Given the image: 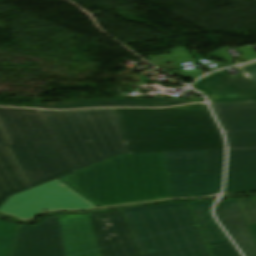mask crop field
Instances as JSON below:
<instances>
[{
	"label": "crop field",
	"mask_w": 256,
	"mask_h": 256,
	"mask_svg": "<svg viewBox=\"0 0 256 256\" xmlns=\"http://www.w3.org/2000/svg\"><path fill=\"white\" fill-rule=\"evenodd\" d=\"M58 179L98 207L172 198L164 152L119 155Z\"/></svg>",
	"instance_id": "crop-field-1"
},
{
	"label": "crop field",
	"mask_w": 256,
	"mask_h": 256,
	"mask_svg": "<svg viewBox=\"0 0 256 256\" xmlns=\"http://www.w3.org/2000/svg\"><path fill=\"white\" fill-rule=\"evenodd\" d=\"M114 110L131 153L224 149L206 104Z\"/></svg>",
	"instance_id": "crop-field-2"
},
{
	"label": "crop field",
	"mask_w": 256,
	"mask_h": 256,
	"mask_svg": "<svg viewBox=\"0 0 256 256\" xmlns=\"http://www.w3.org/2000/svg\"><path fill=\"white\" fill-rule=\"evenodd\" d=\"M40 111L73 172L130 153L113 109Z\"/></svg>",
	"instance_id": "crop-field-3"
},
{
	"label": "crop field",
	"mask_w": 256,
	"mask_h": 256,
	"mask_svg": "<svg viewBox=\"0 0 256 256\" xmlns=\"http://www.w3.org/2000/svg\"><path fill=\"white\" fill-rule=\"evenodd\" d=\"M0 123L31 188L72 173L39 110L0 108Z\"/></svg>",
	"instance_id": "crop-field-4"
},
{
	"label": "crop field",
	"mask_w": 256,
	"mask_h": 256,
	"mask_svg": "<svg viewBox=\"0 0 256 256\" xmlns=\"http://www.w3.org/2000/svg\"><path fill=\"white\" fill-rule=\"evenodd\" d=\"M140 210L164 256H210L186 203Z\"/></svg>",
	"instance_id": "crop-field-5"
},
{
	"label": "crop field",
	"mask_w": 256,
	"mask_h": 256,
	"mask_svg": "<svg viewBox=\"0 0 256 256\" xmlns=\"http://www.w3.org/2000/svg\"><path fill=\"white\" fill-rule=\"evenodd\" d=\"M95 205L55 179L33 189L9 197L0 207V212L17 218L29 219L41 210L90 209Z\"/></svg>",
	"instance_id": "crop-field-6"
},
{
	"label": "crop field",
	"mask_w": 256,
	"mask_h": 256,
	"mask_svg": "<svg viewBox=\"0 0 256 256\" xmlns=\"http://www.w3.org/2000/svg\"><path fill=\"white\" fill-rule=\"evenodd\" d=\"M165 154L173 198L219 193L222 176L205 174V151Z\"/></svg>",
	"instance_id": "crop-field-7"
},
{
	"label": "crop field",
	"mask_w": 256,
	"mask_h": 256,
	"mask_svg": "<svg viewBox=\"0 0 256 256\" xmlns=\"http://www.w3.org/2000/svg\"><path fill=\"white\" fill-rule=\"evenodd\" d=\"M229 149L256 148V102L211 103Z\"/></svg>",
	"instance_id": "crop-field-8"
},
{
	"label": "crop field",
	"mask_w": 256,
	"mask_h": 256,
	"mask_svg": "<svg viewBox=\"0 0 256 256\" xmlns=\"http://www.w3.org/2000/svg\"><path fill=\"white\" fill-rule=\"evenodd\" d=\"M13 256H66L59 216L21 226Z\"/></svg>",
	"instance_id": "crop-field-9"
},
{
	"label": "crop field",
	"mask_w": 256,
	"mask_h": 256,
	"mask_svg": "<svg viewBox=\"0 0 256 256\" xmlns=\"http://www.w3.org/2000/svg\"><path fill=\"white\" fill-rule=\"evenodd\" d=\"M92 215L103 256H142L121 210Z\"/></svg>",
	"instance_id": "crop-field-10"
},
{
	"label": "crop field",
	"mask_w": 256,
	"mask_h": 256,
	"mask_svg": "<svg viewBox=\"0 0 256 256\" xmlns=\"http://www.w3.org/2000/svg\"><path fill=\"white\" fill-rule=\"evenodd\" d=\"M192 87L207 95L210 102L256 100V85L244 75L231 78L221 71L201 79Z\"/></svg>",
	"instance_id": "crop-field-11"
},
{
	"label": "crop field",
	"mask_w": 256,
	"mask_h": 256,
	"mask_svg": "<svg viewBox=\"0 0 256 256\" xmlns=\"http://www.w3.org/2000/svg\"><path fill=\"white\" fill-rule=\"evenodd\" d=\"M60 217L67 256H102L91 214Z\"/></svg>",
	"instance_id": "crop-field-12"
},
{
	"label": "crop field",
	"mask_w": 256,
	"mask_h": 256,
	"mask_svg": "<svg viewBox=\"0 0 256 256\" xmlns=\"http://www.w3.org/2000/svg\"><path fill=\"white\" fill-rule=\"evenodd\" d=\"M216 213L245 256H256V239L237 200L219 202Z\"/></svg>",
	"instance_id": "crop-field-13"
},
{
	"label": "crop field",
	"mask_w": 256,
	"mask_h": 256,
	"mask_svg": "<svg viewBox=\"0 0 256 256\" xmlns=\"http://www.w3.org/2000/svg\"><path fill=\"white\" fill-rule=\"evenodd\" d=\"M256 191V149L229 150L225 194Z\"/></svg>",
	"instance_id": "crop-field-14"
},
{
	"label": "crop field",
	"mask_w": 256,
	"mask_h": 256,
	"mask_svg": "<svg viewBox=\"0 0 256 256\" xmlns=\"http://www.w3.org/2000/svg\"><path fill=\"white\" fill-rule=\"evenodd\" d=\"M174 99L157 96L155 99H110V100H87L67 103H37L34 107L47 109H78L87 107H113V106H143V107H165L187 104Z\"/></svg>",
	"instance_id": "crop-field-15"
},
{
	"label": "crop field",
	"mask_w": 256,
	"mask_h": 256,
	"mask_svg": "<svg viewBox=\"0 0 256 256\" xmlns=\"http://www.w3.org/2000/svg\"><path fill=\"white\" fill-rule=\"evenodd\" d=\"M30 189L8 145H0V205L12 194Z\"/></svg>",
	"instance_id": "crop-field-16"
},
{
	"label": "crop field",
	"mask_w": 256,
	"mask_h": 256,
	"mask_svg": "<svg viewBox=\"0 0 256 256\" xmlns=\"http://www.w3.org/2000/svg\"><path fill=\"white\" fill-rule=\"evenodd\" d=\"M126 220L143 256H161L162 253L150 232L139 208L123 210Z\"/></svg>",
	"instance_id": "crop-field-17"
},
{
	"label": "crop field",
	"mask_w": 256,
	"mask_h": 256,
	"mask_svg": "<svg viewBox=\"0 0 256 256\" xmlns=\"http://www.w3.org/2000/svg\"><path fill=\"white\" fill-rule=\"evenodd\" d=\"M213 202L206 201L190 204L209 246L231 243L210 213Z\"/></svg>",
	"instance_id": "crop-field-18"
},
{
	"label": "crop field",
	"mask_w": 256,
	"mask_h": 256,
	"mask_svg": "<svg viewBox=\"0 0 256 256\" xmlns=\"http://www.w3.org/2000/svg\"><path fill=\"white\" fill-rule=\"evenodd\" d=\"M20 225L0 220V256H12Z\"/></svg>",
	"instance_id": "crop-field-19"
},
{
	"label": "crop field",
	"mask_w": 256,
	"mask_h": 256,
	"mask_svg": "<svg viewBox=\"0 0 256 256\" xmlns=\"http://www.w3.org/2000/svg\"><path fill=\"white\" fill-rule=\"evenodd\" d=\"M224 150L206 151V173L223 175Z\"/></svg>",
	"instance_id": "crop-field-20"
},
{
	"label": "crop field",
	"mask_w": 256,
	"mask_h": 256,
	"mask_svg": "<svg viewBox=\"0 0 256 256\" xmlns=\"http://www.w3.org/2000/svg\"><path fill=\"white\" fill-rule=\"evenodd\" d=\"M249 224L256 223V199H238Z\"/></svg>",
	"instance_id": "crop-field-21"
},
{
	"label": "crop field",
	"mask_w": 256,
	"mask_h": 256,
	"mask_svg": "<svg viewBox=\"0 0 256 256\" xmlns=\"http://www.w3.org/2000/svg\"><path fill=\"white\" fill-rule=\"evenodd\" d=\"M213 256H241L233 244L210 247Z\"/></svg>",
	"instance_id": "crop-field-22"
},
{
	"label": "crop field",
	"mask_w": 256,
	"mask_h": 256,
	"mask_svg": "<svg viewBox=\"0 0 256 256\" xmlns=\"http://www.w3.org/2000/svg\"><path fill=\"white\" fill-rule=\"evenodd\" d=\"M237 69L256 84V62L237 67Z\"/></svg>",
	"instance_id": "crop-field-23"
},
{
	"label": "crop field",
	"mask_w": 256,
	"mask_h": 256,
	"mask_svg": "<svg viewBox=\"0 0 256 256\" xmlns=\"http://www.w3.org/2000/svg\"><path fill=\"white\" fill-rule=\"evenodd\" d=\"M219 51H214L212 52L210 56H214L216 58H219V59H223V60H227L228 61V64L231 65V63L233 62V59L231 58V56L227 53V51L225 49H219Z\"/></svg>",
	"instance_id": "crop-field-24"
},
{
	"label": "crop field",
	"mask_w": 256,
	"mask_h": 256,
	"mask_svg": "<svg viewBox=\"0 0 256 256\" xmlns=\"http://www.w3.org/2000/svg\"><path fill=\"white\" fill-rule=\"evenodd\" d=\"M248 61L256 59V51L250 46H244L239 48Z\"/></svg>",
	"instance_id": "crop-field-25"
},
{
	"label": "crop field",
	"mask_w": 256,
	"mask_h": 256,
	"mask_svg": "<svg viewBox=\"0 0 256 256\" xmlns=\"http://www.w3.org/2000/svg\"><path fill=\"white\" fill-rule=\"evenodd\" d=\"M0 144H10L8 137L1 125H0Z\"/></svg>",
	"instance_id": "crop-field-26"
},
{
	"label": "crop field",
	"mask_w": 256,
	"mask_h": 256,
	"mask_svg": "<svg viewBox=\"0 0 256 256\" xmlns=\"http://www.w3.org/2000/svg\"><path fill=\"white\" fill-rule=\"evenodd\" d=\"M255 237H256V224L250 225Z\"/></svg>",
	"instance_id": "crop-field-27"
}]
</instances>
